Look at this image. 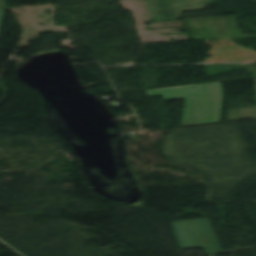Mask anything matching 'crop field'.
<instances>
[{"instance_id": "crop-field-4", "label": "crop field", "mask_w": 256, "mask_h": 256, "mask_svg": "<svg viewBox=\"0 0 256 256\" xmlns=\"http://www.w3.org/2000/svg\"><path fill=\"white\" fill-rule=\"evenodd\" d=\"M255 89H256V86H255Z\"/></svg>"}, {"instance_id": "crop-field-3", "label": "crop field", "mask_w": 256, "mask_h": 256, "mask_svg": "<svg viewBox=\"0 0 256 256\" xmlns=\"http://www.w3.org/2000/svg\"><path fill=\"white\" fill-rule=\"evenodd\" d=\"M3 18H4V9H0V29L2 27Z\"/></svg>"}, {"instance_id": "crop-field-1", "label": "crop field", "mask_w": 256, "mask_h": 256, "mask_svg": "<svg viewBox=\"0 0 256 256\" xmlns=\"http://www.w3.org/2000/svg\"><path fill=\"white\" fill-rule=\"evenodd\" d=\"M146 90L149 96L165 99L186 97L182 126L220 122L222 109L221 83Z\"/></svg>"}, {"instance_id": "crop-field-2", "label": "crop field", "mask_w": 256, "mask_h": 256, "mask_svg": "<svg viewBox=\"0 0 256 256\" xmlns=\"http://www.w3.org/2000/svg\"><path fill=\"white\" fill-rule=\"evenodd\" d=\"M171 224L182 248L204 247L207 255L224 252L208 218Z\"/></svg>"}]
</instances>
